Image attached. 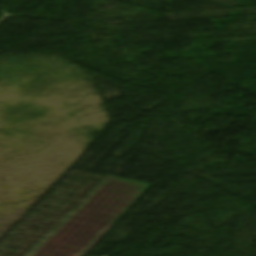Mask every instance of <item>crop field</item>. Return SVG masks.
I'll list each match as a JSON object with an SVG mask.
<instances>
[{"label": "crop field", "instance_id": "crop-field-1", "mask_svg": "<svg viewBox=\"0 0 256 256\" xmlns=\"http://www.w3.org/2000/svg\"><path fill=\"white\" fill-rule=\"evenodd\" d=\"M148 187L107 176L34 256H82Z\"/></svg>", "mask_w": 256, "mask_h": 256}]
</instances>
